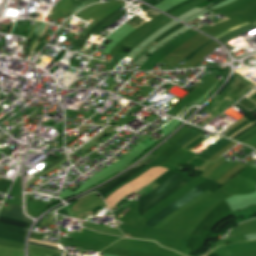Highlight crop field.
<instances>
[{
	"instance_id": "1",
	"label": "crop field",
	"mask_w": 256,
	"mask_h": 256,
	"mask_svg": "<svg viewBox=\"0 0 256 256\" xmlns=\"http://www.w3.org/2000/svg\"><path fill=\"white\" fill-rule=\"evenodd\" d=\"M180 177H182V176L175 173L167 181H165L162 185H160L157 189H155L152 193H150V194L146 195L145 197L137 200L138 203H139V206L141 204H143L145 201H147L148 199H150L151 197H153L154 195H156L157 193H159L161 190H163L164 188H166L167 186H169L170 184L175 182ZM188 182L189 181L186 180L185 178H183V177L180 178L175 183H173L172 185H170L169 187H167L166 189L161 191L159 194H157L156 196H154L153 198H151L150 200L145 202L140 207H138V214L140 216L143 215L145 212H147L148 210L153 208L155 205L160 203L162 200H164L165 198L170 196L172 193L177 191L179 188H181L182 186H184Z\"/></svg>"
},
{
	"instance_id": "2",
	"label": "crop field",
	"mask_w": 256,
	"mask_h": 256,
	"mask_svg": "<svg viewBox=\"0 0 256 256\" xmlns=\"http://www.w3.org/2000/svg\"><path fill=\"white\" fill-rule=\"evenodd\" d=\"M202 190L195 187L191 191L184 194L182 197H180L178 200H176L174 203L170 204L169 206L165 207L163 210H161L157 215H155L151 220H149L145 226L147 227H154L160 220L165 218L167 215H169L171 212L177 210L199 194H201Z\"/></svg>"
},
{
	"instance_id": "3",
	"label": "crop field",
	"mask_w": 256,
	"mask_h": 256,
	"mask_svg": "<svg viewBox=\"0 0 256 256\" xmlns=\"http://www.w3.org/2000/svg\"><path fill=\"white\" fill-rule=\"evenodd\" d=\"M146 165H144L143 163L132 168L127 174L123 175L122 177L118 178L117 180L103 186L102 188L98 189L97 192L103 196L108 190H110L111 188H113L114 186H116L117 184L127 180L128 178H130L134 173H136L137 171H139L140 169H142L143 167H145Z\"/></svg>"
},
{
	"instance_id": "4",
	"label": "crop field",
	"mask_w": 256,
	"mask_h": 256,
	"mask_svg": "<svg viewBox=\"0 0 256 256\" xmlns=\"http://www.w3.org/2000/svg\"><path fill=\"white\" fill-rule=\"evenodd\" d=\"M0 215L24 221V218L21 216V208L12 204L10 205L8 211L1 209Z\"/></svg>"
},
{
	"instance_id": "5",
	"label": "crop field",
	"mask_w": 256,
	"mask_h": 256,
	"mask_svg": "<svg viewBox=\"0 0 256 256\" xmlns=\"http://www.w3.org/2000/svg\"><path fill=\"white\" fill-rule=\"evenodd\" d=\"M251 28H255V26L249 25V26H245V27L239 28V29H237V30H235L233 32H230V33L224 35L222 38H220L218 40L226 43V42L230 41L233 37H235V36L245 32V31H247V30H249Z\"/></svg>"
},
{
	"instance_id": "6",
	"label": "crop field",
	"mask_w": 256,
	"mask_h": 256,
	"mask_svg": "<svg viewBox=\"0 0 256 256\" xmlns=\"http://www.w3.org/2000/svg\"><path fill=\"white\" fill-rule=\"evenodd\" d=\"M119 12L115 11L114 13L110 14L109 16H107L105 19H103L102 21H100L99 23H97L96 25H94L87 33L86 37L84 38V40L81 42L80 46L83 47L85 42L87 41V39L89 38V36L92 34V32L102 23L106 22L107 20L113 18L114 16H116Z\"/></svg>"
},
{
	"instance_id": "7",
	"label": "crop field",
	"mask_w": 256,
	"mask_h": 256,
	"mask_svg": "<svg viewBox=\"0 0 256 256\" xmlns=\"http://www.w3.org/2000/svg\"><path fill=\"white\" fill-rule=\"evenodd\" d=\"M0 223L16 226L20 228H24L28 226V223H24V222L12 220V219L4 218V217H0Z\"/></svg>"
},
{
	"instance_id": "8",
	"label": "crop field",
	"mask_w": 256,
	"mask_h": 256,
	"mask_svg": "<svg viewBox=\"0 0 256 256\" xmlns=\"http://www.w3.org/2000/svg\"><path fill=\"white\" fill-rule=\"evenodd\" d=\"M0 230L10 232V233H14V234H18V235H22V236H25L26 233H27V231H24V230H21V229H18V228H14V227H11V226L3 225V224H0Z\"/></svg>"
},
{
	"instance_id": "9",
	"label": "crop field",
	"mask_w": 256,
	"mask_h": 256,
	"mask_svg": "<svg viewBox=\"0 0 256 256\" xmlns=\"http://www.w3.org/2000/svg\"><path fill=\"white\" fill-rule=\"evenodd\" d=\"M0 237L10 239V240H14V241H18V242H22V243H23V240H24V237H22V236L9 234V233H5V232H1V231H0Z\"/></svg>"
},
{
	"instance_id": "10",
	"label": "crop field",
	"mask_w": 256,
	"mask_h": 256,
	"mask_svg": "<svg viewBox=\"0 0 256 256\" xmlns=\"http://www.w3.org/2000/svg\"><path fill=\"white\" fill-rule=\"evenodd\" d=\"M29 241L58 247L57 244H54V243L38 241V240L30 239V238H29ZM31 242H29L28 244L42 246V247H46V248H50V249L60 251L59 248H56V247H51V246H46V245H41V244H36V243H31Z\"/></svg>"
},
{
	"instance_id": "11",
	"label": "crop field",
	"mask_w": 256,
	"mask_h": 256,
	"mask_svg": "<svg viewBox=\"0 0 256 256\" xmlns=\"http://www.w3.org/2000/svg\"><path fill=\"white\" fill-rule=\"evenodd\" d=\"M251 124H252V123H251ZM251 124H249V125H251ZM249 125H247L246 127H248ZM254 125H256V124L254 123V124H252L251 126H249L248 128H246V127L242 128L241 130H239V131L236 132L235 134L231 135L229 138L233 137L234 135H236L237 133H239L240 131H242L243 129L246 128L245 130H243L242 132H240L239 134H237L236 136H234L232 139L238 137L239 135H241L242 133L246 132L247 130H249V129H250L251 127H253Z\"/></svg>"
},
{
	"instance_id": "12",
	"label": "crop field",
	"mask_w": 256,
	"mask_h": 256,
	"mask_svg": "<svg viewBox=\"0 0 256 256\" xmlns=\"http://www.w3.org/2000/svg\"><path fill=\"white\" fill-rule=\"evenodd\" d=\"M213 42L211 39L209 41H207L205 44H203L202 46H200L199 48H197L195 51H193L191 54H189L187 57L191 58L196 52H198L199 50H201L203 47H205L207 44Z\"/></svg>"
},
{
	"instance_id": "13",
	"label": "crop field",
	"mask_w": 256,
	"mask_h": 256,
	"mask_svg": "<svg viewBox=\"0 0 256 256\" xmlns=\"http://www.w3.org/2000/svg\"><path fill=\"white\" fill-rule=\"evenodd\" d=\"M245 25H248V23L242 24V25H239V26H236V27H234V28H231V29H229V30H227V31H225V32H223V33H221V34L215 36V37L218 39V38L222 37L224 34L230 32V31H232V30H234V29H236V28H239V27H241V26H245Z\"/></svg>"
},
{
	"instance_id": "14",
	"label": "crop field",
	"mask_w": 256,
	"mask_h": 256,
	"mask_svg": "<svg viewBox=\"0 0 256 256\" xmlns=\"http://www.w3.org/2000/svg\"><path fill=\"white\" fill-rule=\"evenodd\" d=\"M245 236V239L246 240H249V239H256V233L254 234H249V235H244Z\"/></svg>"
},
{
	"instance_id": "15",
	"label": "crop field",
	"mask_w": 256,
	"mask_h": 256,
	"mask_svg": "<svg viewBox=\"0 0 256 256\" xmlns=\"http://www.w3.org/2000/svg\"><path fill=\"white\" fill-rule=\"evenodd\" d=\"M45 28H46V27H45ZM44 30H45V29H44ZM44 30H43V31H44ZM43 31H42V33H43ZM42 33H41V34H42ZM41 34H40V36H41Z\"/></svg>"
},
{
	"instance_id": "16",
	"label": "crop field",
	"mask_w": 256,
	"mask_h": 256,
	"mask_svg": "<svg viewBox=\"0 0 256 256\" xmlns=\"http://www.w3.org/2000/svg\"><path fill=\"white\" fill-rule=\"evenodd\" d=\"M254 148H256V147H254Z\"/></svg>"
}]
</instances>
